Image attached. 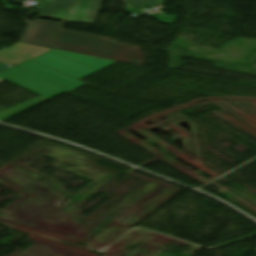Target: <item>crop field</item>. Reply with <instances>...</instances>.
Segmentation results:
<instances>
[{"label": "crop field", "instance_id": "1", "mask_svg": "<svg viewBox=\"0 0 256 256\" xmlns=\"http://www.w3.org/2000/svg\"><path fill=\"white\" fill-rule=\"evenodd\" d=\"M50 48L141 65L139 46L124 45L91 34L59 29Z\"/></svg>", "mask_w": 256, "mask_h": 256}, {"label": "crop field", "instance_id": "2", "mask_svg": "<svg viewBox=\"0 0 256 256\" xmlns=\"http://www.w3.org/2000/svg\"><path fill=\"white\" fill-rule=\"evenodd\" d=\"M0 78L48 99L85 84L32 60L0 73Z\"/></svg>", "mask_w": 256, "mask_h": 256}, {"label": "crop field", "instance_id": "3", "mask_svg": "<svg viewBox=\"0 0 256 256\" xmlns=\"http://www.w3.org/2000/svg\"><path fill=\"white\" fill-rule=\"evenodd\" d=\"M76 79L96 72L114 62L85 55L53 50L32 59Z\"/></svg>", "mask_w": 256, "mask_h": 256}, {"label": "crop field", "instance_id": "4", "mask_svg": "<svg viewBox=\"0 0 256 256\" xmlns=\"http://www.w3.org/2000/svg\"><path fill=\"white\" fill-rule=\"evenodd\" d=\"M28 22L20 42L47 48L60 23L36 20Z\"/></svg>", "mask_w": 256, "mask_h": 256}, {"label": "crop field", "instance_id": "5", "mask_svg": "<svg viewBox=\"0 0 256 256\" xmlns=\"http://www.w3.org/2000/svg\"><path fill=\"white\" fill-rule=\"evenodd\" d=\"M103 0H75L64 21L94 25Z\"/></svg>", "mask_w": 256, "mask_h": 256}, {"label": "crop field", "instance_id": "6", "mask_svg": "<svg viewBox=\"0 0 256 256\" xmlns=\"http://www.w3.org/2000/svg\"><path fill=\"white\" fill-rule=\"evenodd\" d=\"M48 51H50V49L18 43L10 48L0 50V60L16 65Z\"/></svg>", "mask_w": 256, "mask_h": 256}, {"label": "crop field", "instance_id": "7", "mask_svg": "<svg viewBox=\"0 0 256 256\" xmlns=\"http://www.w3.org/2000/svg\"><path fill=\"white\" fill-rule=\"evenodd\" d=\"M37 3L42 18L63 20L73 0H30ZM40 2V3H38Z\"/></svg>", "mask_w": 256, "mask_h": 256}, {"label": "crop field", "instance_id": "8", "mask_svg": "<svg viewBox=\"0 0 256 256\" xmlns=\"http://www.w3.org/2000/svg\"><path fill=\"white\" fill-rule=\"evenodd\" d=\"M46 100H48V99L38 96L32 100L22 103V104H20L16 107H13L9 110H4V111L0 112V122H4V121L24 112L32 107L46 101Z\"/></svg>", "mask_w": 256, "mask_h": 256}, {"label": "crop field", "instance_id": "9", "mask_svg": "<svg viewBox=\"0 0 256 256\" xmlns=\"http://www.w3.org/2000/svg\"><path fill=\"white\" fill-rule=\"evenodd\" d=\"M128 6H132L138 9H144L147 7L158 6L164 4L162 0H125Z\"/></svg>", "mask_w": 256, "mask_h": 256}, {"label": "crop field", "instance_id": "10", "mask_svg": "<svg viewBox=\"0 0 256 256\" xmlns=\"http://www.w3.org/2000/svg\"><path fill=\"white\" fill-rule=\"evenodd\" d=\"M7 68V64L0 62V71Z\"/></svg>", "mask_w": 256, "mask_h": 256}, {"label": "crop field", "instance_id": "11", "mask_svg": "<svg viewBox=\"0 0 256 256\" xmlns=\"http://www.w3.org/2000/svg\"><path fill=\"white\" fill-rule=\"evenodd\" d=\"M3 110L2 108H0V111Z\"/></svg>", "mask_w": 256, "mask_h": 256}, {"label": "crop field", "instance_id": "12", "mask_svg": "<svg viewBox=\"0 0 256 256\" xmlns=\"http://www.w3.org/2000/svg\"><path fill=\"white\" fill-rule=\"evenodd\" d=\"M1 81H3V80L0 79V82H1Z\"/></svg>", "mask_w": 256, "mask_h": 256}]
</instances>
